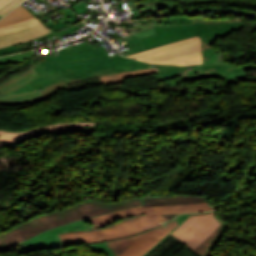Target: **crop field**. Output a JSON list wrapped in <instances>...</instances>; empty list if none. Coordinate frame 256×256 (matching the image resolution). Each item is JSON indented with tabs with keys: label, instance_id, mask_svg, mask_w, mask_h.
Returning <instances> with one entry per match:
<instances>
[{
	"label": "crop field",
	"instance_id": "8a807250",
	"mask_svg": "<svg viewBox=\"0 0 256 256\" xmlns=\"http://www.w3.org/2000/svg\"><path fill=\"white\" fill-rule=\"evenodd\" d=\"M142 199V206L87 219L94 224L91 230L60 233L59 236L64 245L100 241L155 227L181 213L216 209L207 202V197L201 196L178 195Z\"/></svg>",
	"mask_w": 256,
	"mask_h": 256
},
{
	"label": "crop field",
	"instance_id": "ac0d7876",
	"mask_svg": "<svg viewBox=\"0 0 256 256\" xmlns=\"http://www.w3.org/2000/svg\"><path fill=\"white\" fill-rule=\"evenodd\" d=\"M137 22L153 25L151 29L131 35L132 38L139 36L147 50L200 35L204 64L224 63L222 53L209 45L218 37L243 27L241 19L207 21L205 16H172L134 23ZM119 25L132 26L129 23Z\"/></svg>",
	"mask_w": 256,
	"mask_h": 256
},
{
	"label": "crop field",
	"instance_id": "34b2d1b8",
	"mask_svg": "<svg viewBox=\"0 0 256 256\" xmlns=\"http://www.w3.org/2000/svg\"><path fill=\"white\" fill-rule=\"evenodd\" d=\"M140 197L123 202L106 204L100 201H85L27 221L12 230L0 234V245L20 244L46 230L72 223L84 218L103 215L111 211L142 205Z\"/></svg>",
	"mask_w": 256,
	"mask_h": 256
},
{
	"label": "crop field",
	"instance_id": "412701ff",
	"mask_svg": "<svg viewBox=\"0 0 256 256\" xmlns=\"http://www.w3.org/2000/svg\"><path fill=\"white\" fill-rule=\"evenodd\" d=\"M151 67H154V65L125 58L120 55L110 58H92L73 62L41 63L40 65H34V69L40 75L64 80L65 83L97 75L104 76Z\"/></svg>",
	"mask_w": 256,
	"mask_h": 256
},
{
	"label": "crop field",
	"instance_id": "f4fd0767",
	"mask_svg": "<svg viewBox=\"0 0 256 256\" xmlns=\"http://www.w3.org/2000/svg\"><path fill=\"white\" fill-rule=\"evenodd\" d=\"M223 226L224 223L219 221L215 213L193 216L189 223L171 235L196 255L203 256Z\"/></svg>",
	"mask_w": 256,
	"mask_h": 256
},
{
	"label": "crop field",
	"instance_id": "dd49c442",
	"mask_svg": "<svg viewBox=\"0 0 256 256\" xmlns=\"http://www.w3.org/2000/svg\"><path fill=\"white\" fill-rule=\"evenodd\" d=\"M126 57L156 64H203L199 36Z\"/></svg>",
	"mask_w": 256,
	"mask_h": 256
},
{
	"label": "crop field",
	"instance_id": "e52e79f7",
	"mask_svg": "<svg viewBox=\"0 0 256 256\" xmlns=\"http://www.w3.org/2000/svg\"><path fill=\"white\" fill-rule=\"evenodd\" d=\"M37 76L39 75L31 68L1 83L0 93L7 94ZM63 87H65L64 81L51 85L49 87H46L45 88L46 90L41 91L39 93L37 91H34L30 93L9 94L5 97L0 98V105H19V104H25L30 102L41 101L53 95L51 92L56 91Z\"/></svg>",
	"mask_w": 256,
	"mask_h": 256
},
{
	"label": "crop field",
	"instance_id": "d8731c3e",
	"mask_svg": "<svg viewBox=\"0 0 256 256\" xmlns=\"http://www.w3.org/2000/svg\"><path fill=\"white\" fill-rule=\"evenodd\" d=\"M168 231L162 226L134 237L108 242L115 256H140Z\"/></svg>",
	"mask_w": 256,
	"mask_h": 256
},
{
	"label": "crop field",
	"instance_id": "5a996713",
	"mask_svg": "<svg viewBox=\"0 0 256 256\" xmlns=\"http://www.w3.org/2000/svg\"><path fill=\"white\" fill-rule=\"evenodd\" d=\"M36 17L0 27V47L28 41L51 32ZM27 28V29H25Z\"/></svg>",
	"mask_w": 256,
	"mask_h": 256
},
{
	"label": "crop field",
	"instance_id": "3316defc",
	"mask_svg": "<svg viewBox=\"0 0 256 256\" xmlns=\"http://www.w3.org/2000/svg\"><path fill=\"white\" fill-rule=\"evenodd\" d=\"M85 222H89L86 219L68 224L59 228H55L44 232L29 241L25 242V245L18 249L19 254L23 252H29L34 250H40L45 248H51L56 246H62L63 243L61 242L60 238L58 237L57 233L72 231V230H84L88 229V226Z\"/></svg>",
	"mask_w": 256,
	"mask_h": 256
},
{
	"label": "crop field",
	"instance_id": "28ad6ade",
	"mask_svg": "<svg viewBox=\"0 0 256 256\" xmlns=\"http://www.w3.org/2000/svg\"><path fill=\"white\" fill-rule=\"evenodd\" d=\"M92 124L94 123L73 122V123L48 124V125H43V126L31 129V130L21 131V132H10V131L0 130V146H4L13 142L26 139L37 133L48 132V131L60 132V131H66V130L80 129V128L88 127Z\"/></svg>",
	"mask_w": 256,
	"mask_h": 256
},
{
	"label": "crop field",
	"instance_id": "d1516ede",
	"mask_svg": "<svg viewBox=\"0 0 256 256\" xmlns=\"http://www.w3.org/2000/svg\"><path fill=\"white\" fill-rule=\"evenodd\" d=\"M91 57H109L102 46L93 49L92 44H81L65 49H61L57 57H43L42 62H62L72 61Z\"/></svg>",
	"mask_w": 256,
	"mask_h": 256
},
{
	"label": "crop field",
	"instance_id": "22f410ed",
	"mask_svg": "<svg viewBox=\"0 0 256 256\" xmlns=\"http://www.w3.org/2000/svg\"><path fill=\"white\" fill-rule=\"evenodd\" d=\"M128 5L131 8L130 11H133L134 16L130 17V19H137L138 16L144 17V16H154L157 14H170L174 11L179 10L177 5L174 3H164V2H158V1H152V0H146V2L137 3V0H127ZM120 7V11L124 10L123 3L117 5ZM137 10L138 16L135 12Z\"/></svg>",
	"mask_w": 256,
	"mask_h": 256
},
{
	"label": "crop field",
	"instance_id": "cbeb9de0",
	"mask_svg": "<svg viewBox=\"0 0 256 256\" xmlns=\"http://www.w3.org/2000/svg\"><path fill=\"white\" fill-rule=\"evenodd\" d=\"M77 22H81V19L77 17V15L70 9H66L64 10V17L60 20H57L55 22H50V23H47L45 24L49 29L51 27L54 28V30H57V29H60L62 27H65V26H68L70 24H73V23H77ZM53 30V31H54ZM52 36H56L53 32L48 34V35H45V36H42V37H39V38H36L34 40H31V41H35V40H38V39H43V38H48V37H52ZM29 42V41H28ZM25 43V42H24ZM21 44V43H20ZM17 45V44H16ZM14 52H18L17 49L15 48V46H9V47H5V48H1L0 49V55H3V54H9V53H14Z\"/></svg>",
	"mask_w": 256,
	"mask_h": 256
},
{
	"label": "crop field",
	"instance_id": "5142ce71",
	"mask_svg": "<svg viewBox=\"0 0 256 256\" xmlns=\"http://www.w3.org/2000/svg\"><path fill=\"white\" fill-rule=\"evenodd\" d=\"M207 78H220L222 80L233 79L248 73L242 72L231 65L202 66Z\"/></svg>",
	"mask_w": 256,
	"mask_h": 256
},
{
	"label": "crop field",
	"instance_id": "d9b57169",
	"mask_svg": "<svg viewBox=\"0 0 256 256\" xmlns=\"http://www.w3.org/2000/svg\"><path fill=\"white\" fill-rule=\"evenodd\" d=\"M59 81L60 80H55V79H50V78L39 76V77L33 79L32 81L26 83L25 85L21 86L20 88L14 90L11 93L30 92V91L41 89L43 87H46L48 85L54 84Z\"/></svg>",
	"mask_w": 256,
	"mask_h": 256
},
{
	"label": "crop field",
	"instance_id": "733c2abd",
	"mask_svg": "<svg viewBox=\"0 0 256 256\" xmlns=\"http://www.w3.org/2000/svg\"><path fill=\"white\" fill-rule=\"evenodd\" d=\"M31 17H34V15L20 5L17 9H15L0 20V26L19 22Z\"/></svg>",
	"mask_w": 256,
	"mask_h": 256
},
{
	"label": "crop field",
	"instance_id": "4a817a6b",
	"mask_svg": "<svg viewBox=\"0 0 256 256\" xmlns=\"http://www.w3.org/2000/svg\"><path fill=\"white\" fill-rule=\"evenodd\" d=\"M151 74H156V71L154 68L140 70V71H134V72H128V73L114 74V75H110V76H104L101 78L104 81V83H113V82H121V81H123V78H127V77L151 75Z\"/></svg>",
	"mask_w": 256,
	"mask_h": 256
},
{
	"label": "crop field",
	"instance_id": "bc2a9ffb",
	"mask_svg": "<svg viewBox=\"0 0 256 256\" xmlns=\"http://www.w3.org/2000/svg\"><path fill=\"white\" fill-rule=\"evenodd\" d=\"M158 73V81L174 76H178L180 74H184L187 72L186 67H176L169 65H155Z\"/></svg>",
	"mask_w": 256,
	"mask_h": 256
},
{
	"label": "crop field",
	"instance_id": "214f88e0",
	"mask_svg": "<svg viewBox=\"0 0 256 256\" xmlns=\"http://www.w3.org/2000/svg\"><path fill=\"white\" fill-rule=\"evenodd\" d=\"M206 78L203 69L201 66H193V70H190L187 72V74L181 75L175 80L168 81V86H173L176 84H179L181 82H184L186 80L195 81Z\"/></svg>",
	"mask_w": 256,
	"mask_h": 256
},
{
	"label": "crop field",
	"instance_id": "92a150f3",
	"mask_svg": "<svg viewBox=\"0 0 256 256\" xmlns=\"http://www.w3.org/2000/svg\"><path fill=\"white\" fill-rule=\"evenodd\" d=\"M212 212H215V211H212ZM207 213H211V212H207ZM200 214H206V213L184 214V215H181V216L177 217L176 219H174L170 222L161 223V225L171 233L172 231L176 230L180 226L189 222L193 215H200Z\"/></svg>",
	"mask_w": 256,
	"mask_h": 256
},
{
	"label": "crop field",
	"instance_id": "dafd665d",
	"mask_svg": "<svg viewBox=\"0 0 256 256\" xmlns=\"http://www.w3.org/2000/svg\"><path fill=\"white\" fill-rule=\"evenodd\" d=\"M169 232L163 236L157 243H155L149 250H147L142 256H146L149 252H151L157 245H159L165 238L169 236ZM89 249L94 250V251H106L109 256H114L112 252L109 250L107 247L106 243L102 244H96V245H90L88 246Z\"/></svg>",
	"mask_w": 256,
	"mask_h": 256
},
{
	"label": "crop field",
	"instance_id": "00972430",
	"mask_svg": "<svg viewBox=\"0 0 256 256\" xmlns=\"http://www.w3.org/2000/svg\"><path fill=\"white\" fill-rule=\"evenodd\" d=\"M34 52L35 51H31V52H27V53L2 57V58H0V64H4V63H8V62H22V61L32 57Z\"/></svg>",
	"mask_w": 256,
	"mask_h": 256
},
{
	"label": "crop field",
	"instance_id": "a9b5d70f",
	"mask_svg": "<svg viewBox=\"0 0 256 256\" xmlns=\"http://www.w3.org/2000/svg\"><path fill=\"white\" fill-rule=\"evenodd\" d=\"M23 1L24 0H0V16L2 17Z\"/></svg>",
	"mask_w": 256,
	"mask_h": 256
},
{
	"label": "crop field",
	"instance_id": "4177f3b9",
	"mask_svg": "<svg viewBox=\"0 0 256 256\" xmlns=\"http://www.w3.org/2000/svg\"><path fill=\"white\" fill-rule=\"evenodd\" d=\"M126 44L131 48L132 51L126 52L127 54L132 53V52H136V51H141V50H145L144 45L142 44V42L140 41L139 37L131 39V40H127L125 41ZM124 42V43H125Z\"/></svg>",
	"mask_w": 256,
	"mask_h": 256
},
{
	"label": "crop field",
	"instance_id": "730fd06b",
	"mask_svg": "<svg viewBox=\"0 0 256 256\" xmlns=\"http://www.w3.org/2000/svg\"><path fill=\"white\" fill-rule=\"evenodd\" d=\"M226 226H227V224L224 226V228L222 229V231L220 232V234L218 235V237L216 238L214 243L211 245V247L208 249V251L204 254V256H209L210 255L211 251L213 250L214 246L216 245L217 241L219 240V238L222 235L223 231L225 230Z\"/></svg>",
	"mask_w": 256,
	"mask_h": 256
},
{
	"label": "crop field",
	"instance_id": "eef30255",
	"mask_svg": "<svg viewBox=\"0 0 256 256\" xmlns=\"http://www.w3.org/2000/svg\"><path fill=\"white\" fill-rule=\"evenodd\" d=\"M82 25H84V23H83V24H80L78 27L75 26V27L66 29V30H64V31H62V32L56 33V34H57L58 36H60V35L66 34V33H68V32H72V31H74V30L80 29V27H82Z\"/></svg>",
	"mask_w": 256,
	"mask_h": 256
},
{
	"label": "crop field",
	"instance_id": "ae1a2a85",
	"mask_svg": "<svg viewBox=\"0 0 256 256\" xmlns=\"http://www.w3.org/2000/svg\"><path fill=\"white\" fill-rule=\"evenodd\" d=\"M238 68H241L246 71L255 67L252 64H246V65L238 66Z\"/></svg>",
	"mask_w": 256,
	"mask_h": 256
},
{
	"label": "crop field",
	"instance_id": "d3111659",
	"mask_svg": "<svg viewBox=\"0 0 256 256\" xmlns=\"http://www.w3.org/2000/svg\"><path fill=\"white\" fill-rule=\"evenodd\" d=\"M110 1H113V0H110ZM118 3L122 2V1H125V0H116Z\"/></svg>",
	"mask_w": 256,
	"mask_h": 256
},
{
	"label": "crop field",
	"instance_id": "750c4746",
	"mask_svg": "<svg viewBox=\"0 0 256 256\" xmlns=\"http://www.w3.org/2000/svg\"><path fill=\"white\" fill-rule=\"evenodd\" d=\"M1 18V17H0Z\"/></svg>",
	"mask_w": 256,
	"mask_h": 256
}]
</instances>
